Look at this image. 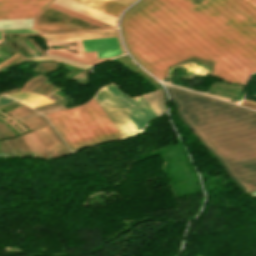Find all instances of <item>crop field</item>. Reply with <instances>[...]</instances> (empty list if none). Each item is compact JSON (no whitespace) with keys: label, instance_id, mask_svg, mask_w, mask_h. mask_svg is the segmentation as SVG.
<instances>
[{"label":"crop field","instance_id":"28","mask_svg":"<svg viewBox=\"0 0 256 256\" xmlns=\"http://www.w3.org/2000/svg\"><path fill=\"white\" fill-rule=\"evenodd\" d=\"M2 120H4L5 122H7L8 124H10L17 132H19L20 134H22V132H20L16 127H14L9 121H7L6 119L0 117Z\"/></svg>","mask_w":256,"mask_h":256},{"label":"crop field","instance_id":"7","mask_svg":"<svg viewBox=\"0 0 256 256\" xmlns=\"http://www.w3.org/2000/svg\"><path fill=\"white\" fill-rule=\"evenodd\" d=\"M107 89L105 86L99 89L94 97L95 100L98 102L122 138L136 133L137 129L112 97L110 94L111 92L109 93Z\"/></svg>","mask_w":256,"mask_h":256},{"label":"crop field","instance_id":"27","mask_svg":"<svg viewBox=\"0 0 256 256\" xmlns=\"http://www.w3.org/2000/svg\"><path fill=\"white\" fill-rule=\"evenodd\" d=\"M113 1L118 2V3H120V4H123V5L127 6L128 4H130V3H131L132 1H134V0H113Z\"/></svg>","mask_w":256,"mask_h":256},{"label":"crop field","instance_id":"15","mask_svg":"<svg viewBox=\"0 0 256 256\" xmlns=\"http://www.w3.org/2000/svg\"><path fill=\"white\" fill-rule=\"evenodd\" d=\"M49 7L54 8V9H57V10L62 11V12H64V13L70 14V15L75 16V17H77V18H80V19H82V20L88 21V22L93 23V24H95V25L101 26V27H103V28H111V27H113V26H110V25H108V24H105V23H102V22H100V21H97V20H95V19H92V18H90V17H87V16H84V15L79 14V13H77V12H74V11H72V10H69V9H67V8H64V7H61V6H59V5H56V4H54V3H52L51 5H49Z\"/></svg>","mask_w":256,"mask_h":256},{"label":"crop field","instance_id":"25","mask_svg":"<svg viewBox=\"0 0 256 256\" xmlns=\"http://www.w3.org/2000/svg\"><path fill=\"white\" fill-rule=\"evenodd\" d=\"M241 105H244V106L256 109V103L248 101V100H245V99L242 101Z\"/></svg>","mask_w":256,"mask_h":256},{"label":"crop field","instance_id":"18","mask_svg":"<svg viewBox=\"0 0 256 256\" xmlns=\"http://www.w3.org/2000/svg\"><path fill=\"white\" fill-rule=\"evenodd\" d=\"M7 113L12 115L15 119H17L35 112L32 109L28 108L27 106H23V107L11 110Z\"/></svg>","mask_w":256,"mask_h":256},{"label":"crop field","instance_id":"3","mask_svg":"<svg viewBox=\"0 0 256 256\" xmlns=\"http://www.w3.org/2000/svg\"><path fill=\"white\" fill-rule=\"evenodd\" d=\"M45 116L71 151L121 138L94 98L84 105Z\"/></svg>","mask_w":256,"mask_h":256},{"label":"crop field","instance_id":"5","mask_svg":"<svg viewBox=\"0 0 256 256\" xmlns=\"http://www.w3.org/2000/svg\"><path fill=\"white\" fill-rule=\"evenodd\" d=\"M117 39H118V37H117ZM117 39L116 38H108V39H90V40H81V41H82L83 48H84L85 52L97 51L98 57L104 58V57H111L114 55H118L123 52V50H122V52L120 50L121 45L119 47L120 42L118 44ZM118 41H119V39H118ZM84 51H83V53H84ZM47 52H48V54L59 55L62 57H66V58L73 59V60H76L79 62L90 64V65H94L96 63L110 59V58L98 59L96 52L84 53L85 59L79 58V57H76L73 55H69V54H66L63 52H59L56 50H47Z\"/></svg>","mask_w":256,"mask_h":256},{"label":"crop field","instance_id":"29","mask_svg":"<svg viewBox=\"0 0 256 256\" xmlns=\"http://www.w3.org/2000/svg\"><path fill=\"white\" fill-rule=\"evenodd\" d=\"M7 56H9V55H7V54H5V53H3V52L0 51V58L4 59V58H6Z\"/></svg>","mask_w":256,"mask_h":256},{"label":"crop field","instance_id":"21","mask_svg":"<svg viewBox=\"0 0 256 256\" xmlns=\"http://www.w3.org/2000/svg\"><path fill=\"white\" fill-rule=\"evenodd\" d=\"M19 57H21V55L19 53L15 54L14 56H12L11 58H9L8 60L4 61L3 63L0 64V70L3 69L4 67H6L8 64L14 62L16 59H18ZM21 59H24V57L22 56L20 59H18L15 63H17L18 61H20ZM14 63V64H15ZM12 66V65H11Z\"/></svg>","mask_w":256,"mask_h":256},{"label":"crop field","instance_id":"12","mask_svg":"<svg viewBox=\"0 0 256 256\" xmlns=\"http://www.w3.org/2000/svg\"><path fill=\"white\" fill-rule=\"evenodd\" d=\"M74 1L85 4L87 6L98 9L100 11L106 12L108 14L114 15L116 17L120 13V11L123 8H125V6L110 0H74Z\"/></svg>","mask_w":256,"mask_h":256},{"label":"crop field","instance_id":"2","mask_svg":"<svg viewBox=\"0 0 256 256\" xmlns=\"http://www.w3.org/2000/svg\"><path fill=\"white\" fill-rule=\"evenodd\" d=\"M180 117L246 191L256 190V112L165 86Z\"/></svg>","mask_w":256,"mask_h":256},{"label":"crop field","instance_id":"26","mask_svg":"<svg viewBox=\"0 0 256 256\" xmlns=\"http://www.w3.org/2000/svg\"><path fill=\"white\" fill-rule=\"evenodd\" d=\"M11 101H14V100H12L6 96H0V106L6 104L8 102H11Z\"/></svg>","mask_w":256,"mask_h":256},{"label":"crop field","instance_id":"8","mask_svg":"<svg viewBox=\"0 0 256 256\" xmlns=\"http://www.w3.org/2000/svg\"><path fill=\"white\" fill-rule=\"evenodd\" d=\"M20 123L26 126L30 131L40 126L49 124L34 131L42 141L51 157H57L69 153V150L66 148L46 118L38 115L36 117L20 121Z\"/></svg>","mask_w":256,"mask_h":256},{"label":"crop field","instance_id":"4","mask_svg":"<svg viewBox=\"0 0 256 256\" xmlns=\"http://www.w3.org/2000/svg\"><path fill=\"white\" fill-rule=\"evenodd\" d=\"M34 28L46 33L99 29L88 22L47 7L35 17Z\"/></svg>","mask_w":256,"mask_h":256},{"label":"crop field","instance_id":"13","mask_svg":"<svg viewBox=\"0 0 256 256\" xmlns=\"http://www.w3.org/2000/svg\"><path fill=\"white\" fill-rule=\"evenodd\" d=\"M35 157L51 158L34 132L21 136Z\"/></svg>","mask_w":256,"mask_h":256},{"label":"crop field","instance_id":"24","mask_svg":"<svg viewBox=\"0 0 256 256\" xmlns=\"http://www.w3.org/2000/svg\"><path fill=\"white\" fill-rule=\"evenodd\" d=\"M0 114L3 115V116H5V117L8 118L9 120L13 121L19 128H21V129L24 130L25 132H28L24 126H22L21 124H19V123H18L16 120H14L13 118H11V117L5 115V114H4L3 112H1V111H0Z\"/></svg>","mask_w":256,"mask_h":256},{"label":"crop field","instance_id":"22","mask_svg":"<svg viewBox=\"0 0 256 256\" xmlns=\"http://www.w3.org/2000/svg\"><path fill=\"white\" fill-rule=\"evenodd\" d=\"M37 31V30H36ZM31 29H16V30H3V32H11V33H39ZM1 37H2V30H0ZM40 34H43L42 32ZM1 39V38H0ZM3 39V37H2Z\"/></svg>","mask_w":256,"mask_h":256},{"label":"crop field","instance_id":"6","mask_svg":"<svg viewBox=\"0 0 256 256\" xmlns=\"http://www.w3.org/2000/svg\"><path fill=\"white\" fill-rule=\"evenodd\" d=\"M106 87L111 92L121 108L124 110V112L127 114L132 123L135 125V127L138 129V131L149 120L156 117L142 95L131 99L123 94L114 83L109 84Z\"/></svg>","mask_w":256,"mask_h":256},{"label":"crop field","instance_id":"23","mask_svg":"<svg viewBox=\"0 0 256 256\" xmlns=\"http://www.w3.org/2000/svg\"><path fill=\"white\" fill-rule=\"evenodd\" d=\"M19 43L25 47L33 56H36L37 54L31 49V47L24 41L20 40Z\"/></svg>","mask_w":256,"mask_h":256},{"label":"crop field","instance_id":"10","mask_svg":"<svg viewBox=\"0 0 256 256\" xmlns=\"http://www.w3.org/2000/svg\"><path fill=\"white\" fill-rule=\"evenodd\" d=\"M54 3L61 6L67 7L79 13L85 14L102 22L108 23L116 27V17L108 15L106 13L100 12L98 10L92 9L85 5L79 4L71 0H55Z\"/></svg>","mask_w":256,"mask_h":256},{"label":"crop field","instance_id":"16","mask_svg":"<svg viewBox=\"0 0 256 256\" xmlns=\"http://www.w3.org/2000/svg\"><path fill=\"white\" fill-rule=\"evenodd\" d=\"M33 60H54V61H58V62H61V63L68 64V65L84 68V69L89 67L87 65L72 62V61L57 57V56H42V57H35V58L28 59V61H33Z\"/></svg>","mask_w":256,"mask_h":256},{"label":"crop field","instance_id":"17","mask_svg":"<svg viewBox=\"0 0 256 256\" xmlns=\"http://www.w3.org/2000/svg\"><path fill=\"white\" fill-rule=\"evenodd\" d=\"M46 79H47L46 77L42 75H38L32 78L31 80H29L25 85H23L21 91H31Z\"/></svg>","mask_w":256,"mask_h":256},{"label":"crop field","instance_id":"11","mask_svg":"<svg viewBox=\"0 0 256 256\" xmlns=\"http://www.w3.org/2000/svg\"><path fill=\"white\" fill-rule=\"evenodd\" d=\"M40 36L44 38L45 42H52V41L86 39V38L111 37V36H117V32H116V29H111V30H99V31L65 33V34H54V35H40Z\"/></svg>","mask_w":256,"mask_h":256},{"label":"crop field","instance_id":"20","mask_svg":"<svg viewBox=\"0 0 256 256\" xmlns=\"http://www.w3.org/2000/svg\"><path fill=\"white\" fill-rule=\"evenodd\" d=\"M17 101H20L22 99H25V98H29V97H33V96H39L38 94H35V93H28V92H20V93H15V94H10V95H7Z\"/></svg>","mask_w":256,"mask_h":256},{"label":"crop field","instance_id":"1","mask_svg":"<svg viewBox=\"0 0 256 256\" xmlns=\"http://www.w3.org/2000/svg\"><path fill=\"white\" fill-rule=\"evenodd\" d=\"M121 33L159 80L191 56L215 61L212 75L243 85L256 72V0H140L122 16Z\"/></svg>","mask_w":256,"mask_h":256},{"label":"crop field","instance_id":"14","mask_svg":"<svg viewBox=\"0 0 256 256\" xmlns=\"http://www.w3.org/2000/svg\"><path fill=\"white\" fill-rule=\"evenodd\" d=\"M143 97L150 105L156 116L165 112L164 93L162 89L143 94Z\"/></svg>","mask_w":256,"mask_h":256},{"label":"crop field","instance_id":"9","mask_svg":"<svg viewBox=\"0 0 256 256\" xmlns=\"http://www.w3.org/2000/svg\"><path fill=\"white\" fill-rule=\"evenodd\" d=\"M53 0H0V19L34 18Z\"/></svg>","mask_w":256,"mask_h":256},{"label":"crop field","instance_id":"19","mask_svg":"<svg viewBox=\"0 0 256 256\" xmlns=\"http://www.w3.org/2000/svg\"><path fill=\"white\" fill-rule=\"evenodd\" d=\"M21 102H24V103L28 104L29 106L34 107V106L42 105V104L49 103L52 101L46 99L43 96H39V97L29 98V99L23 100Z\"/></svg>","mask_w":256,"mask_h":256}]
</instances>
